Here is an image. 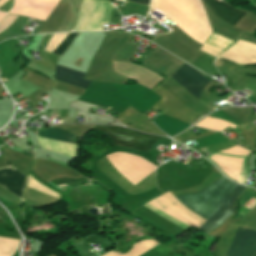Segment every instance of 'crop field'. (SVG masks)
Masks as SVG:
<instances>
[{
  "mask_svg": "<svg viewBox=\"0 0 256 256\" xmlns=\"http://www.w3.org/2000/svg\"><path fill=\"white\" fill-rule=\"evenodd\" d=\"M177 71H179L181 74H183L185 77L190 79L192 82H194L202 89L208 82V80H206L205 77H203L201 74H199L197 71H195L193 68H191L189 65L185 63ZM177 71L171 78L174 79L177 83H179L182 87H184L193 96L199 98L202 89H200L198 86H196L194 83L189 81L187 78H185Z\"/></svg>",
  "mask_w": 256,
  "mask_h": 256,
  "instance_id": "4",
  "label": "crop field"
},
{
  "mask_svg": "<svg viewBox=\"0 0 256 256\" xmlns=\"http://www.w3.org/2000/svg\"><path fill=\"white\" fill-rule=\"evenodd\" d=\"M199 41V40H198Z\"/></svg>",
  "mask_w": 256,
  "mask_h": 256,
  "instance_id": "13",
  "label": "crop field"
},
{
  "mask_svg": "<svg viewBox=\"0 0 256 256\" xmlns=\"http://www.w3.org/2000/svg\"><path fill=\"white\" fill-rule=\"evenodd\" d=\"M66 186V185H60L59 187Z\"/></svg>",
  "mask_w": 256,
  "mask_h": 256,
  "instance_id": "12",
  "label": "crop field"
},
{
  "mask_svg": "<svg viewBox=\"0 0 256 256\" xmlns=\"http://www.w3.org/2000/svg\"><path fill=\"white\" fill-rule=\"evenodd\" d=\"M79 100H81V101H85V102H88V103H91V104H94V105H98V106H101V107H104V108H108V106L101 105V104L94 103V102H90V101H86V100H83V99H81V98H80ZM109 109H110V110H112V108H110V107H109ZM113 111H116V112L121 113V111H118V110H116V109H113Z\"/></svg>",
  "mask_w": 256,
  "mask_h": 256,
  "instance_id": "10",
  "label": "crop field"
},
{
  "mask_svg": "<svg viewBox=\"0 0 256 256\" xmlns=\"http://www.w3.org/2000/svg\"><path fill=\"white\" fill-rule=\"evenodd\" d=\"M84 73L77 72L65 67H61L57 65L56 68V80H60L78 87H82L87 89V87L90 85V81L83 80Z\"/></svg>",
  "mask_w": 256,
  "mask_h": 256,
  "instance_id": "6",
  "label": "crop field"
},
{
  "mask_svg": "<svg viewBox=\"0 0 256 256\" xmlns=\"http://www.w3.org/2000/svg\"><path fill=\"white\" fill-rule=\"evenodd\" d=\"M36 134L39 137L77 145L76 139L73 135L54 128L46 129L43 131H37Z\"/></svg>",
  "mask_w": 256,
  "mask_h": 256,
  "instance_id": "8",
  "label": "crop field"
},
{
  "mask_svg": "<svg viewBox=\"0 0 256 256\" xmlns=\"http://www.w3.org/2000/svg\"><path fill=\"white\" fill-rule=\"evenodd\" d=\"M256 253V232L238 228L225 256H253Z\"/></svg>",
  "mask_w": 256,
  "mask_h": 256,
  "instance_id": "3",
  "label": "crop field"
},
{
  "mask_svg": "<svg viewBox=\"0 0 256 256\" xmlns=\"http://www.w3.org/2000/svg\"><path fill=\"white\" fill-rule=\"evenodd\" d=\"M223 176L216 182L209 185L202 191L196 194H188L180 197H176L183 205L197 212L208 202L213 196L216 190L226 181ZM235 183L226 181L210 199V201L198 212V215L205 219L220 206L229 191L235 186ZM246 189L245 186L237 185L227 195L221 206L209 217L208 221L200 227V230L204 233L210 232L212 229L220 226L228 216L234 213V201L241 193Z\"/></svg>",
  "mask_w": 256,
  "mask_h": 256,
  "instance_id": "1",
  "label": "crop field"
},
{
  "mask_svg": "<svg viewBox=\"0 0 256 256\" xmlns=\"http://www.w3.org/2000/svg\"><path fill=\"white\" fill-rule=\"evenodd\" d=\"M78 33H69V35L59 44V46L54 50L53 54L60 56L71 42V40L77 35Z\"/></svg>",
  "mask_w": 256,
  "mask_h": 256,
  "instance_id": "9",
  "label": "crop field"
},
{
  "mask_svg": "<svg viewBox=\"0 0 256 256\" xmlns=\"http://www.w3.org/2000/svg\"><path fill=\"white\" fill-rule=\"evenodd\" d=\"M212 11L221 17L223 20L230 24H234L238 21L245 13L236 11L218 0H205Z\"/></svg>",
  "mask_w": 256,
  "mask_h": 256,
  "instance_id": "7",
  "label": "crop field"
},
{
  "mask_svg": "<svg viewBox=\"0 0 256 256\" xmlns=\"http://www.w3.org/2000/svg\"><path fill=\"white\" fill-rule=\"evenodd\" d=\"M94 129L103 131L113 145L148 152L160 137L143 134L121 127L96 125Z\"/></svg>",
  "mask_w": 256,
  "mask_h": 256,
  "instance_id": "2",
  "label": "crop field"
},
{
  "mask_svg": "<svg viewBox=\"0 0 256 256\" xmlns=\"http://www.w3.org/2000/svg\"><path fill=\"white\" fill-rule=\"evenodd\" d=\"M9 167H12V166H9ZM9 167H4V168H0V169H5V168H9ZM12 168H14V167H12ZM12 168L5 169V170H0V184H2L4 187H6L10 191L14 192L15 194H17L18 196H20L21 189H22V186H23V183H24V179L26 177L25 183H24V186H23V189H22V193H21V198L19 197L20 199H22L23 193H24V189H25L26 180H27V176H25L20 171H18L17 169L14 168L16 171H18L23 176H25V177H23L21 174H19L18 172H16Z\"/></svg>",
  "mask_w": 256,
  "mask_h": 256,
  "instance_id": "5",
  "label": "crop field"
},
{
  "mask_svg": "<svg viewBox=\"0 0 256 256\" xmlns=\"http://www.w3.org/2000/svg\"><path fill=\"white\" fill-rule=\"evenodd\" d=\"M256 256V255H255Z\"/></svg>",
  "mask_w": 256,
  "mask_h": 256,
  "instance_id": "14",
  "label": "crop field"
},
{
  "mask_svg": "<svg viewBox=\"0 0 256 256\" xmlns=\"http://www.w3.org/2000/svg\"><path fill=\"white\" fill-rule=\"evenodd\" d=\"M129 1H133V2L140 3L147 6L149 5V2H150V0H129Z\"/></svg>",
  "mask_w": 256,
  "mask_h": 256,
  "instance_id": "11",
  "label": "crop field"
}]
</instances>
